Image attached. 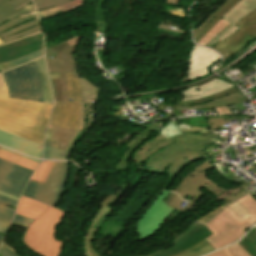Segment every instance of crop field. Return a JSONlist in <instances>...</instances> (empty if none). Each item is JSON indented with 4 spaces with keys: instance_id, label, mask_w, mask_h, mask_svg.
<instances>
[{
    "instance_id": "8a807250",
    "label": "crop field",
    "mask_w": 256,
    "mask_h": 256,
    "mask_svg": "<svg viewBox=\"0 0 256 256\" xmlns=\"http://www.w3.org/2000/svg\"><path fill=\"white\" fill-rule=\"evenodd\" d=\"M16 213L35 219L23 235L24 245L41 256H58L64 242L54 240V236L64 212L21 197Z\"/></svg>"
},
{
    "instance_id": "ac0d7876",
    "label": "crop field",
    "mask_w": 256,
    "mask_h": 256,
    "mask_svg": "<svg viewBox=\"0 0 256 256\" xmlns=\"http://www.w3.org/2000/svg\"><path fill=\"white\" fill-rule=\"evenodd\" d=\"M51 105L9 98L0 101V130L43 145Z\"/></svg>"
},
{
    "instance_id": "34b2d1b8",
    "label": "crop field",
    "mask_w": 256,
    "mask_h": 256,
    "mask_svg": "<svg viewBox=\"0 0 256 256\" xmlns=\"http://www.w3.org/2000/svg\"><path fill=\"white\" fill-rule=\"evenodd\" d=\"M171 140L174 144L149 157L145 165V172L169 177L163 186L165 189L184 165L200 158L210 161L203 151L212 144L208 137L185 134Z\"/></svg>"
},
{
    "instance_id": "412701ff",
    "label": "crop field",
    "mask_w": 256,
    "mask_h": 256,
    "mask_svg": "<svg viewBox=\"0 0 256 256\" xmlns=\"http://www.w3.org/2000/svg\"><path fill=\"white\" fill-rule=\"evenodd\" d=\"M239 201L248 208L254 216L240 220L227 207L213 220L205 225L213 234L207 240L215 250L238 240L254 223H256V201L248 194Z\"/></svg>"
},
{
    "instance_id": "f4fd0767",
    "label": "crop field",
    "mask_w": 256,
    "mask_h": 256,
    "mask_svg": "<svg viewBox=\"0 0 256 256\" xmlns=\"http://www.w3.org/2000/svg\"><path fill=\"white\" fill-rule=\"evenodd\" d=\"M79 38L80 36H77L46 49V62L49 73L60 72L63 101H67L66 71H73L74 77H78L72 53ZM79 81L82 100L86 102H96L98 88L89 83L84 77L79 78Z\"/></svg>"
},
{
    "instance_id": "dd49c442",
    "label": "crop field",
    "mask_w": 256,
    "mask_h": 256,
    "mask_svg": "<svg viewBox=\"0 0 256 256\" xmlns=\"http://www.w3.org/2000/svg\"><path fill=\"white\" fill-rule=\"evenodd\" d=\"M97 232V229L92 228L88 236L87 250L91 256H100L92 246V241ZM210 235L212 234L204 225L194 222L169 246L145 256H201L214 251L211 245L204 240Z\"/></svg>"
},
{
    "instance_id": "e52e79f7",
    "label": "crop field",
    "mask_w": 256,
    "mask_h": 256,
    "mask_svg": "<svg viewBox=\"0 0 256 256\" xmlns=\"http://www.w3.org/2000/svg\"><path fill=\"white\" fill-rule=\"evenodd\" d=\"M4 74L9 97L42 102V88L33 61Z\"/></svg>"
},
{
    "instance_id": "d8731c3e",
    "label": "crop field",
    "mask_w": 256,
    "mask_h": 256,
    "mask_svg": "<svg viewBox=\"0 0 256 256\" xmlns=\"http://www.w3.org/2000/svg\"><path fill=\"white\" fill-rule=\"evenodd\" d=\"M214 166L205 161L192 170L185 174L179 185L175 189V192L179 193V195L184 199L186 195L193 197V199L188 203V205L184 208L183 212L186 213L188 209L194 206V204L200 199V197L204 194L200 189L203 187L206 191H208L212 196L222 193L226 191L212 179L207 177L204 173L210 171Z\"/></svg>"
},
{
    "instance_id": "5a996713",
    "label": "crop field",
    "mask_w": 256,
    "mask_h": 256,
    "mask_svg": "<svg viewBox=\"0 0 256 256\" xmlns=\"http://www.w3.org/2000/svg\"><path fill=\"white\" fill-rule=\"evenodd\" d=\"M68 168V162H56L46 183L29 181L23 196L54 206L63 192Z\"/></svg>"
},
{
    "instance_id": "3316defc",
    "label": "crop field",
    "mask_w": 256,
    "mask_h": 256,
    "mask_svg": "<svg viewBox=\"0 0 256 256\" xmlns=\"http://www.w3.org/2000/svg\"><path fill=\"white\" fill-rule=\"evenodd\" d=\"M235 25L241 29L222 40L212 49L218 51L226 59L256 38V9L243 17Z\"/></svg>"
},
{
    "instance_id": "28ad6ade",
    "label": "crop field",
    "mask_w": 256,
    "mask_h": 256,
    "mask_svg": "<svg viewBox=\"0 0 256 256\" xmlns=\"http://www.w3.org/2000/svg\"><path fill=\"white\" fill-rule=\"evenodd\" d=\"M31 174L22 166L0 159V190L19 197ZM0 202L16 207L18 201L0 195Z\"/></svg>"
},
{
    "instance_id": "d1516ede",
    "label": "crop field",
    "mask_w": 256,
    "mask_h": 256,
    "mask_svg": "<svg viewBox=\"0 0 256 256\" xmlns=\"http://www.w3.org/2000/svg\"><path fill=\"white\" fill-rule=\"evenodd\" d=\"M175 193L163 191L149 207L145 215L137 224L139 239L150 237L155 230L170 216L175 210L166 204Z\"/></svg>"
},
{
    "instance_id": "22f410ed",
    "label": "crop field",
    "mask_w": 256,
    "mask_h": 256,
    "mask_svg": "<svg viewBox=\"0 0 256 256\" xmlns=\"http://www.w3.org/2000/svg\"><path fill=\"white\" fill-rule=\"evenodd\" d=\"M220 56L207 48L194 45L189 57V70L182 82L208 74L207 68L217 62Z\"/></svg>"
},
{
    "instance_id": "cbeb9de0",
    "label": "crop field",
    "mask_w": 256,
    "mask_h": 256,
    "mask_svg": "<svg viewBox=\"0 0 256 256\" xmlns=\"http://www.w3.org/2000/svg\"><path fill=\"white\" fill-rule=\"evenodd\" d=\"M43 33L15 43L0 47V64L23 55L32 53L43 47ZM1 72V71H0Z\"/></svg>"
},
{
    "instance_id": "5142ce71",
    "label": "crop field",
    "mask_w": 256,
    "mask_h": 256,
    "mask_svg": "<svg viewBox=\"0 0 256 256\" xmlns=\"http://www.w3.org/2000/svg\"><path fill=\"white\" fill-rule=\"evenodd\" d=\"M80 103H60L56 102L52 112L51 125L62 128L76 130L79 120Z\"/></svg>"
},
{
    "instance_id": "d9b57169",
    "label": "crop field",
    "mask_w": 256,
    "mask_h": 256,
    "mask_svg": "<svg viewBox=\"0 0 256 256\" xmlns=\"http://www.w3.org/2000/svg\"><path fill=\"white\" fill-rule=\"evenodd\" d=\"M0 145L19 151L31 157L41 158L42 145L19 136L0 131Z\"/></svg>"
},
{
    "instance_id": "733c2abd",
    "label": "crop field",
    "mask_w": 256,
    "mask_h": 256,
    "mask_svg": "<svg viewBox=\"0 0 256 256\" xmlns=\"http://www.w3.org/2000/svg\"><path fill=\"white\" fill-rule=\"evenodd\" d=\"M231 87H233V85L213 78L203 84L183 91L184 98L180 99L179 101L204 98L206 96L222 92L224 89H229Z\"/></svg>"
},
{
    "instance_id": "4a817a6b",
    "label": "crop field",
    "mask_w": 256,
    "mask_h": 256,
    "mask_svg": "<svg viewBox=\"0 0 256 256\" xmlns=\"http://www.w3.org/2000/svg\"><path fill=\"white\" fill-rule=\"evenodd\" d=\"M240 0H225L195 30L194 41L197 43L224 15Z\"/></svg>"
},
{
    "instance_id": "bc2a9ffb",
    "label": "crop field",
    "mask_w": 256,
    "mask_h": 256,
    "mask_svg": "<svg viewBox=\"0 0 256 256\" xmlns=\"http://www.w3.org/2000/svg\"><path fill=\"white\" fill-rule=\"evenodd\" d=\"M256 8V0H241L238 2L229 12H227L224 16L221 18L232 23L228 28H226L222 33H220L210 44L216 42L221 36L225 35L232 29H234V24L240 20L243 16L248 14L250 11Z\"/></svg>"
},
{
    "instance_id": "214f88e0",
    "label": "crop field",
    "mask_w": 256,
    "mask_h": 256,
    "mask_svg": "<svg viewBox=\"0 0 256 256\" xmlns=\"http://www.w3.org/2000/svg\"><path fill=\"white\" fill-rule=\"evenodd\" d=\"M157 127L156 124H151L148 126L143 132L139 135L135 136L127 145L126 147L128 150L126 151L124 157L118 163L116 169H124L127 161L131 159V154L137 149V147L144 142L147 137L151 134V132ZM143 138V139H141Z\"/></svg>"
},
{
    "instance_id": "92a150f3",
    "label": "crop field",
    "mask_w": 256,
    "mask_h": 256,
    "mask_svg": "<svg viewBox=\"0 0 256 256\" xmlns=\"http://www.w3.org/2000/svg\"><path fill=\"white\" fill-rule=\"evenodd\" d=\"M246 101H247L246 97L240 94L239 92H237V93L224 96L217 100L209 101L199 105H193L192 108H217V107L238 104Z\"/></svg>"
},
{
    "instance_id": "dafd665d",
    "label": "crop field",
    "mask_w": 256,
    "mask_h": 256,
    "mask_svg": "<svg viewBox=\"0 0 256 256\" xmlns=\"http://www.w3.org/2000/svg\"><path fill=\"white\" fill-rule=\"evenodd\" d=\"M34 62L42 83L43 102L52 105L53 103L52 92H51L50 83H49V79H48L46 68H45L44 58L34 60Z\"/></svg>"
},
{
    "instance_id": "00972430",
    "label": "crop field",
    "mask_w": 256,
    "mask_h": 256,
    "mask_svg": "<svg viewBox=\"0 0 256 256\" xmlns=\"http://www.w3.org/2000/svg\"><path fill=\"white\" fill-rule=\"evenodd\" d=\"M31 3V0H0V21Z\"/></svg>"
},
{
    "instance_id": "a9b5d70f",
    "label": "crop field",
    "mask_w": 256,
    "mask_h": 256,
    "mask_svg": "<svg viewBox=\"0 0 256 256\" xmlns=\"http://www.w3.org/2000/svg\"><path fill=\"white\" fill-rule=\"evenodd\" d=\"M41 56H44L43 48L38 50V51H36V52H34V53H32V54H29V55H26L24 57L12 60V61L4 63V64H1L0 65V70L2 72H4V71H6L8 69H11V68H14L16 66L22 65V64L27 63L29 61L37 59V58H39Z\"/></svg>"
},
{
    "instance_id": "4177f3b9",
    "label": "crop field",
    "mask_w": 256,
    "mask_h": 256,
    "mask_svg": "<svg viewBox=\"0 0 256 256\" xmlns=\"http://www.w3.org/2000/svg\"><path fill=\"white\" fill-rule=\"evenodd\" d=\"M68 78V101L72 99V102L81 101V93L79 87L78 78H73L72 72H67Z\"/></svg>"
},
{
    "instance_id": "730fd06b",
    "label": "crop field",
    "mask_w": 256,
    "mask_h": 256,
    "mask_svg": "<svg viewBox=\"0 0 256 256\" xmlns=\"http://www.w3.org/2000/svg\"><path fill=\"white\" fill-rule=\"evenodd\" d=\"M0 158L10 161V162H13V163H16V164H19V165H22L32 171H34L35 167L38 165V163H35L33 161L16 156L14 154L3 151L1 149H0Z\"/></svg>"
},
{
    "instance_id": "eef30255",
    "label": "crop field",
    "mask_w": 256,
    "mask_h": 256,
    "mask_svg": "<svg viewBox=\"0 0 256 256\" xmlns=\"http://www.w3.org/2000/svg\"><path fill=\"white\" fill-rule=\"evenodd\" d=\"M54 163L52 161H43L40 163L30 180L45 183Z\"/></svg>"
},
{
    "instance_id": "ae1a2a85",
    "label": "crop field",
    "mask_w": 256,
    "mask_h": 256,
    "mask_svg": "<svg viewBox=\"0 0 256 256\" xmlns=\"http://www.w3.org/2000/svg\"><path fill=\"white\" fill-rule=\"evenodd\" d=\"M238 243L251 256H256V226Z\"/></svg>"
},
{
    "instance_id": "d3111659",
    "label": "crop field",
    "mask_w": 256,
    "mask_h": 256,
    "mask_svg": "<svg viewBox=\"0 0 256 256\" xmlns=\"http://www.w3.org/2000/svg\"><path fill=\"white\" fill-rule=\"evenodd\" d=\"M229 25L228 22L221 19L198 43L206 46Z\"/></svg>"
},
{
    "instance_id": "750c4746",
    "label": "crop field",
    "mask_w": 256,
    "mask_h": 256,
    "mask_svg": "<svg viewBox=\"0 0 256 256\" xmlns=\"http://www.w3.org/2000/svg\"><path fill=\"white\" fill-rule=\"evenodd\" d=\"M70 152L44 145L43 159L67 160Z\"/></svg>"
},
{
    "instance_id": "bd1437ed",
    "label": "crop field",
    "mask_w": 256,
    "mask_h": 256,
    "mask_svg": "<svg viewBox=\"0 0 256 256\" xmlns=\"http://www.w3.org/2000/svg\"><path fill=\"white\" fill-rule=\"evenodd\" d=\"M96 2H97L96 8H95L96 22H98L99 31L106 33V31H105V29H106V20H105V16H104L103 7L101 6V4L103 3V0H96Z\"/></svg>"
},
{
    "instance_id": "1d83c4d3",
    "label": "crop field",
    "mask_w": 256,
    "mask_h": 256,
    "mask_svg": "<svg viewBox=\"0 0 256 256\" xmlns=\"http://www.w3.org/2000/svg\"><path fill=\"white\" fill-rule=\"evenodd\" d=\"M227 207L232 210L240 219L247 218L252 215L251 212L246 209L238 200L229 204Z\"/></svg>"
},
{
    "instance_id": "120bbe31",
    "label": "crop field",
    "mask_w": 256,
    "mask_h": 256,
    "mask_svg": "<svg viewBox=\"0 0 256 256\" xmlns=\"http://www.w3.org/2000/svg\"><path fill=\"white\" fill-rule=\"evenodd\" d=\"M15 208L0 203V220L4 222H11ZM4 236L0 235V241H3Z\"/></svg>"
},
{
    "instance_id": "d32e631a",
    "label": "crop field",
    "mask_w": 256,
    "mask_h": 256,
    "mask_svg": "<svg viewBox=\"0 0 256 256\" xmlns=\"http://www.w3.org/2000/svg\"><path fill=\"white\" fill-rule=\"evenodd\" d=\"M66 1L69 0H33L37 11L60 5Z\"/></svg>"
},
{
    "instance_id": "5866460e",
    "label": "crop field",
    "mask_w": 256,
    "mask_h": 256,
    "mask_svg": "<svg viewBox=\"0 0 256 256\" xmlns=\"http://www.w3.org/2000/svg\"><path fill=\"white\" fill-rule=\"evenodd\" d=\"M245 194H247V193L238 190L237 192H235V193H233V194H231V195L221 199L220 205L226 206L227 204L231 203L235 199H237V198H239V197H241V196H243Z\"/></svg>"
},
{
    "instance_id": "028f5c9d",
    "label": "crop field",
    "mask_w": 256,
    "mask_h": 256,
    "mask_svg": "<svg viewBox=\"0 0 256 256\" xmlns=\"http://www.w3.org/2000/svg\"><path fill=\"white\" fill-rule=\"evenodd\" d=\"M32 221L33 219L25 218L16 214L12 224L27 228Z\"/></svg>"
},
{
    "instance_id": "e1f06a70",
    "label": "crop field",
    "mask_w": 256,
    "mask_h": 256,
    "mask_svg": "<svg viewBox=\"0 0 256 256\" xmlns=\"http://www.w3.org/2000/svg\"><path fill=\"white\" fill-rule=\"evenodd\" d=\"M233 256H250L238 243L228 247Z\"/></svg>"
},
{
    "instance_id": "0bd39190",
    "label": "crop field",
    "mask_w": 256,
    "mask_h": 256,
    "mask_svg": "<svg viewBox=\"0 0 256 256\" xmlns=\"http://www.w3.org/2000/svg\"><path fill=\"white\" fill-rule=\"evenodd\" d=\"M222 206H217L216 208L209 211L207 214H205L201 219L198 221L206 224L210 219H212L217 213H219L222 210Z\"/></svg>"
},
{
    "instance_id": "b80d0937",
    "label": "crop field",
    "mask_w": 256,
    "mask_h": 256,
    "mask_svg": "<svg viewBox=\"0 0 256 256\" xmlns=\"http://www.w3.org/2000/svg\"><path fill=\"white\" fill-rule=\"evenodd\" d=\"M8 99V90L3 77V74H0V100L7 101Z\"/></svg>"
},
{
    "instance_id": "c035e120",
    "label": "crop field",
    "mask_w": 256,
    "mask_h": 256,
    "mask_svg": "<svg viewBox=\"0 0 256 256\" xmlns=\"http://www.w3.org/2000/svg\"><path fill=\"white\" fill-rule=\"evenodd\" d=\"M87 106V122H86V127L84 128V131H87L88 128L92 125L93 123V117H94V105L93 104H86ZM92 114V116H90Z\"/></svg>"
},
{
    "instance_id": "c21b1889",
    "label": "crop field",
    "mask_w": 256,
    "mask_h": 256,
    "mask_svg": "<svg viewBox=\"0 0 256 256\" xmlns=\"http://www.w3.org/2000/svg\"><path fill=\"white\" fill-rule=\"evenodd\" d=\"M83 132H78L76 131L74 136L72 137V139L70 140V142L67 144V146L65 147V150L67 151H71L76 147V143L77 141L81 138V136L83 135Z\"/></svg>"
},
{
    "instance_id": "03da06ac",
    "label": "crop field",
    "mask_w": 256,
    "mask_h": 256,
    "mask_svg": "<svg viewBox=\"0 0 256 256\" xmlns=\"http://www.w3.org/2000/svg\"><path fill=\"white\" fill-rule=\"evenodd\" d=\"M86 122V106L85 104L81 103V113H80V120L78 122L77 130L82 131L85 127Z\"/></svg>"
},
{
    "instance_id": "b54c1fbb",
    "label": "crop field",
    "mask_w": 256,
    "mask_h": 256,
    "mask_svg": "<svg viewBox=\"0 0 256 256\" xmlns=\"http://www.w3.org/2000/svg\"><path fill=\"white\" fill-rule=\"evenodd\" d=\"M208 256H232V255H231L230 251L228 250V248H225L223 250L214 252Z\"/></svg>"
},
{
    "instance_id": "5d738f31",
    "label": "crop field",
    "mask_w": 256,
    "mask_h": 256,
    "mask_svg": "<svg viewBox=\"0 0 256 256\" xmlns=\"http://www.w3.org/2000/svg\"><path fill=\"white\" fill-rule=\"evenodd\" d=\"M0 256H16V255L13 252H11L10 250H8L7 248L3 247L0 250Z\"/></svg>"
},
{
    "instance_id": "d23c7cc5",
    "label": "crop field",
    "mask_w": 256,
    "mask_h": 256,
    "mask_svg": "<svg viewBox=\"0 0 256 256\" xmlns=\"http://www.w3.org/2000/svg\"><path fill=\"white\" fill-rule=\"evenodd\" d=\"M182 200L178 197V195L176 194L175 196H174V198L171 200V202H170V206H173V207H175V208H177V206L180 204V202H181Z\"/></svg>"
},
{
    "instance_id": "425ffa30",
    "label": "crop field",
    "mask_w": 256,
    "mask_h": 256,
    "mask_svg": "<svg viewBox=\"0 0 256 256\" xmlns=\"http://www.w3.org/2000/svg\"><path fill=\"white\" fill-rule=\"evenodd\" d=\"M9 225H10V224H8V223L0 222V233L6 234Z\"/></svg>"
},
{
    "instance_id": "25e5ab78",
    "label": "crop field",
    "mask_w": 256,
    "mask_h": 256,
    "mask_svg": "<svg viewBox=\"0 0 256 256\" xmlns=\"http://www.w3.org/2000/svg\"><path fill=\"white\" fill-rule=\"evenodd\" d=\"M1 149L6 150V151H9V152L14 153V154H17V155H19V156L25 157V158H27V159L33 160V161H35V162H38V163L40 162L39 160H35V159L30 158V157H27V156L18 154V153L14 152V151H12V150H10V149L3 148V147H1Z\"/></svg>"
},
{
    "instance_id": "73cf0c24",
    "label": "crop field",
    "mask_w": 256,
    "mask_h": 256,
    "mask_svg": "<svg viewBox=\"0 0 256 256\" xmlns=\"http://www.w3.org/2000/svg\"><path fill=\"white\" fill-rule=\"evenodd\" d=\"M216 111L218 112V114H231L230 111L227 109V107L218 108L216 109Z\"/></svg>"
},
{
    "instance_id": "89e229c0",
    "label": "crop field",
    "mask_w": 256,
    "mask_h": 256,
    "mask_svg": "<svg viewBox=\"0 0 256 256\" xmlns=\"http://www.w3.org/2000/svg\"><path fill=\"white\" fill-rule=\"evenodd\" d=\"M37 33H41V31H40V32L33 33V34H30V35H26V36H23V37H20V38L14 39V40H10V41H7V42H4V43H1L0 45L5 44V43H10V42L18 41V40H20V39L27 38V37L32 36V35H35V34H37Z\"/></svg>"
},
{
    "instance_id": "1f2cbd36",
    "label": "crop field",
    "mask_w": 256,
    "mask_h": 256,
    "mask_svg": "<svg viewBox=\"0 0 256 256\" xmlns=\"http://www.w3.org/2000/svg\"><path fill=\"white\" fill-rule=\"evenodd\" d=\"M240 28H235L234 30H232L231 32H229L228 34H226L225 36L221 37L216 43L212 44L211 46H209V48L213 47L215 44H217L219 41H221L222 39H224L225 37L229 36L230 34H232L233 32L237 31Z\"/></svg>"
},
{
    "instance_id": "dbb93151",
    "label": "crop field",
    "mask_w": 256,
    "mask_h": 256,
    "mask_svg": "<svg viewBox=\"0 0 256 256\" xmlns=\"http://www.w3.org/2000/svg\"><path fill=\"white\" fill-rule=\"evenodd\" d=\"M0 194H2V195H4V196H7V197H9V198H13V199H19L18 197H15V196H12V195H9V194H7V193H4V192H1L0 191Z\"/></svg>"
},
{
    "instance_id": "0fb4a251",
    "label": "crop field",
    "mask_w": 256,
    "mask_h": 256,
    "mask_svg": "<svg viewBox=\"0 0 256 256\" xmlns=\"http://www.w3.org/2000/svg\"><path fill=\"white\" fill-rule=\"evenodd\" d=\"M45 144L49 145V146H52V147H55V148L57 147V144L51 143V142L46 141V140H45Z\"/></svg>"
},
{
    "instance_id": "1d79db26",
    "label": "crop field",
    "mask_w": 256,
    "mask_h": 256,
    "mask_svg": "<svg viewBox=\"0 0 256 256\" xmlns=\"http://www.w3.org/2000/svg\"><path fill=\"white\" fill-rule=\"evenodd\" d=\"M3 246L7 247L8 249L12 250L11 248H9L7 245L3 244ZM13 251V250H12ZM15 254H17L18 256H21L19 255L18 253H16L15 251H13Z\"/></svg>"
},
{
    "instance_id": "9d1cf04e",
    "label": "crop field",
    "mask_w": 256,
    "mask_h": 256,
    "mask_svg": "<svg viewBox=\"0 0 256 256\" xmlns=\"http://www.w3.org/2000/svg\"><path fill=\"white\" fill-rule=\"evenodd\" d=\"M173 1H174V0H166V3L172 4Z\"/></svg>"
},
{
    "instance_id": "447ae74e",
    "label": "crop field",
    "mask_w": 256,
    "mask_h": 256,
    "mask_svg": "<svg viewBox=\"0 0 256 256\" xmlns=\"http://www.w3.org/2000/svg\"><path fill=\"white\" fill-rule=\"evenodd\" d=\"M178 1H179V0H175V1L173 2V4H177V3H178Z\"/></svg>"
},
{
    "instance_id": "0765c3eb",
    "label": "crop field",
    "mask_w": 256,
    "mask_h": 256,
    "mask_svg": "<svg viewBox=\"0 0 256 256\" xmlns=\"http://www.w3.org/2000/svg\"><path fill=\"white\" fill-rule=\"evenodd\" d=\"M254 99H256V96H254V97H251V101H252V100H254Z\"/></svg>"
},
{
    "instance_id": "db79e9e6",
    "label": "crop field",
    "mask_w": 256,
    "mask_h": 256,
    "mask_svg": "<svg viewBox=\"0 0 256 256\" xmlns=\"http://www.w3.org/2000/svg\"><path fill=\"white\" fill-rule=\"evenodd\" d=\"M1 244H2V242H0V247H1Z\"/></svg>"
},
{
    "instance_id": "7b73153f",
    "label": "crop field",
    "mask_w": 256,
    "mask_h": 256,
    "mask_svg": "<svg viewBox=\"0 0 256 256\" xmlns=\"http://www.w3.org/2000/svg\"><path fill=\"white\" fill-rule=\"evenodd\" d=\"M2 41L0 40V43H1Z\"/></svg>"
}]
</instances>
